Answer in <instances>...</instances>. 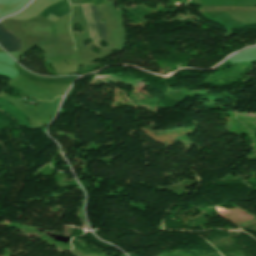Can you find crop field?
<instances>
[{
    "instance_id": "obj_1",
    "label": "crop field",
    "mask_w": 256,
    "mask_h": 256,
    "mask_svg": "<svg viewBox=\"0 0 256 256\" xmlns=\"http://www.w3.org/2000/svg\"><path fill=\"white\" fill-rule=\"evenodd\" d=\"M96 19L98 22V26H99V35H100V41L104 40L106 41V37H105V27L104 24H102L100 22V20L103 19L102 15L100 14V12L98 11L97 7L92 6L91 4H89ZM83 11V15L84 18L87 22V25L90 29V35H91V39H93L94 42L99 41V35H98V26H97V22L96 19L90 9V7L88 5H80Z\"/></svg>"
},
{
    "instance_id": "obj_2",
    "label": "crop field",
    "mask_w": 256,
    "mask_h": 256,
    "mask_svg": "<svg viewBox=\"0 0 256 256\" xmlns=\"http://www.w3.org/2000/svg\"><path fill=\"white\" fill-rule=\"evenodd\" d=\"M18 36V35H17ZM0 45L7 51H20L21 40L14 35V32L5 29L0 25Z\"/></svg>"
}]
</instances>
